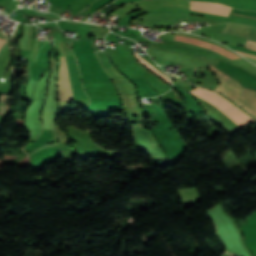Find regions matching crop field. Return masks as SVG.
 <instances>
[{
	"mask_svg": "<svg viewBox=\"0 0 256 256\" xmlns=\"http://www.w3.org/2000/svg\"><path fill=\"white\" fill-rule=\"evenodd\" d=\"M190 93L218 107L221 111L227 114L234 122H236L240 127L248 122L254 121V119H252L246 113L238 109L236 106H234L229 101H227L215 92L197 87Z\"/></svg>",
	"mask_w": 256,
	"mask_h": 256,
	"instance_id": "crop-field-2",
	"label": "crop field"
},
{
	"mask_svg": "<svg viewBox=\"0 0 256 256\" xmlns=\"http://www.w3.org/2000/svg\"><path fill=\"white\" fill-rule=\"evenodd\" d=\"M208 68L220 81L216 90L227 94L231 99L256 116V91L241 87L240 83L210 64Z\"/></svg>",
	"mask_w": 256,
	"mask_h": 256,
	"instance_id": "crop-field-1",
	"label": "crop field"
},
{
	"mask_svg": "<svg viewBox=\"0 0 256 256\" xmlns=\"http://www.w3.org/2000/svg\"><path fill=\"white\" fill-rule=\"evenodd\" d=\"M135 56L137 57V59L144 65L146 66L148 69H150L152 72H154L155 74L159 75L162 79H164L167 83H169L170 85H172L171 81L169 80V78H167L166 76H164L162 73H160L154 66H152L150 63H148L146 60L143 59V57H140L138 55L137 52H134Z\"/></svg>",
	"mask_w": 256,
	"mask_h": 256,
	"instance_id": "crop-field-6",
	"label": "crop field"
},
{
	"mask_svg": "<svg viewBox=\"0 0 256 256\" xmlns=\"http://www.w3.org/2000/svg\"><path fill=\"white\" fill-rule=\"evenodd\" d=\"M234 51L237 52V53H239V54H241V55H243L246 59L256 61V56H254V55L247 54V53L240 52V51H236V50H234ZM253 61H251V62L254 63V64H256V62H253Z\"/></svg>",
	"mask_w": 256,
	"mask_h": 256,
	"instance_id": "crop-field-8",
	"label": "crop field"
},
{
	"mask_svg": "<svg viewBox=\"0 0 256 256\" xmlns=\"http://www.w3.org/2000/svg\"><path fill=\"white\" fill-rule=\"evenodd\" d=\"M250 27L251 26H247V25H243V24L228 23L224 32L247 37L248 33H249V30H250ZM247 45L252 46V47H256V43L249 42V41H247ZM246 48L249 49V50L256 51L255 48H251V47H247V46H246Z\"/></svg>",
	"mask_w": 256,
	"mask_h": 256,
	"instance_id": "crop-field-5",
	"label": "crop field"
},
{
	"mask_svg": "<svg viewBox=\"0 0 256 256\" xmlns=\"http://www.w3.org/2000/svg\"><path fill=\"white\" fill-rule=\"evenodd\" d=\"M57 81L59 102L71 100L66 56H61Z\"/></svg>",
	"mask_w": 256,
	"mask_h": 256,
	"instance_id": "crop-field-3",
	"label": "crop field"
},
{
	"mask_svg": "<svg viewBox=\"0 0 256 256\" xmlns=\"http://www.w3.org/2000/svg\"><path fill=\"white\" fill-rule=\"evenodd\" d=\"M190 9L202 11V12H206V13H211V14L226 15V16H229L232 11V8H229V7H226L223 5L212 4V3H203V2H194V1H190Z\"/></svg>",
	"mask_w": 256,
	"mask_h": 256,
	"instance_id": "crop-field-4",
	"label": "crop field"
},
{
	"mask_svg": "<svg viewBox=\"0 0 256 256\" xmlns=\"http://www.w3.org/2000/svg\"><path fill=\"white\" fill-rule=\"evenodd\" d=\"M96 52H97L98 58H99L101 64L103 65L104 69L114 67L106 52H101V51H96Z\"/></svg>",
	"mask_w": 256,
	"mask_h": 256,
	"instance_id": "crop-field-7",
	"label": "crop field"
},
{
	"mask_svg": "<svg viewBox=\"0 0 256 256\" xmlns=\"http://www.w3.org/2000/svg\"><path fill=\"white\" fill-rule=\"evenodd\" d=\"M4 41L0 39V48L3 45Z\"/></svg>",
	"mask_w": 256,
	"mask_h": 256,
	"instance_id": "crop-field-10",
	"label": "crop field"
},
{
	"mask_svg": "<svg viewBox=\"0 0 256 256\" xmlns=\"http://www.w3.org/2000/svg\"><path fill=\"white\" fill-rule=\"evenodd\" d=\"M175 77H176V76H175ZM175 77H174L172 80L176 81L177 84H179V85H181V86H188L187 84H185L186 82L184 83V82L180 81L181 79L179 80V79H177V78H175Z\"/></svg>",
	"mask_w": 256,
	"mask_h": 256,
	"instance_id": "crop-field-9",
	"label": "crop field"
}]
</instances>
